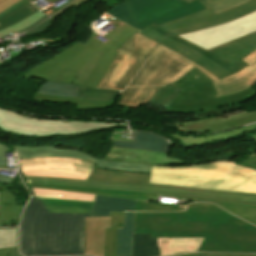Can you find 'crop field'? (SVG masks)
<instances>
[{
	"label": "crop field",
	"instance_id": "0fb4a251",
	"mask_svg": "<svg viewBox=\"0 0 256 256\" xmlns=\"http://www.w3.org/2000/svg\"><path fill=\"white\" fill-rule=\"evenodd\" d=\"M178 256H197V253H193V254H182V255H178Z\"/></svg>",
	"mask_w": 256,
	"mask_h": 256
},
{
	"label": "crop field",
	"instance_id": "28ad6ade",
	"mask_svg": "<svg viewBox=\"0 0 256 256\" xmlns=\"http://www.w3.org/2000/svg\"><path fill=\"white\" fill-rule=\"evenodd\" d=\"M155 46L156 43L136 33L117 50L114 63L98 87L123 90Z\"/></svg>",
	"mask_w": 256,
	"mask_h": 256
},
{
	"label": "crop field",
	"instance_id": "1d83c4d3",
	"mask_svg": "<svg viewBox=\"0 0 256 256\" xmlns=\"http://www.w3.org/2000/svg\"><path fill=\"white\" fill-rule=\"evenodd\" d=\"M18 246V228L0 229V248Z\"/></svg>",
	"mask_w": 256,
	"mask_h": 256
},
{
	"label": "crop field",
	"instance_id": "b54c1fbb",
	"mask_svg": "<svg viewBox=\"0 0 256 256\" xmlns=\"http://www.w3.org/2000/svg\"><path fill=\"white\" fill-rule=\"evenodd\" d=\"M51 19H48L47 21H45L42 25H40L39 27H37L36 29L26 33L27 35H30V34H35V33H39V32H42V31H45L47 30V28L50 26L51 24Z\"/></svg>",
	"mask_w": 256,
	"mask_h": 256
},
{
	"label": "crop field",
	"instance_id": "412701ff",
	"mask_svg": "<svg viewBox=\"0 0 256 256\" xmlns=\"http://www.w3.org/2000/svg\"><path fill=\"white\" fill-rule=\"evenodd\" d=\"M139 34L175 51L223 79L247 66L242 59L256 50V32L205 51L177 35L153 24Z\"/></svg>",
	"mask_w": 256,
	"mask_h": 256
},
{
	"label": "crop field",
	"instance_id": "d32e631a",
	"mask_svg": "<svg viewBox=\"0 0 256 256\" xmlns=\"http://www.w3.org/2000/svg\"><path fill=\"white\" fill-rule=\"evenodd\" d=\"M22 208L23 206L0 205V223L1 221L11 222L14 220L17 221L16 226H18Z\"/></svg>",
	"mask_w": 256,
	"mask_h": 256
},
{
	"label": "crop field",
	"instance_id": "5d738f31",
	"mask_svg": "<svg viewBox=\"0 0 256 256\" xmlns=\"http://www.w3.org/2000/svg\"><path fill=\"white\" fill-rule=\"evenodd\" d=\"M198 256H256V254H223V253L203 254V253H198Z\"/></svg>",
	"mask_w": 256,
	"mask_h": 256
},
{
	"label": "crop field",
	"instance_id": "3316defc",
	"mask_svg": "<svg viewBox=\"0 0 256 256\" xmlns=\"http://www.w3.org/2000/svg\"><path fill=\"white\" fill-rule=\"evenodd\" d=\"M23 115L0 109V129L24 136H50L81 134L93 130L109 129L117 123H96V121H81L63 123L61 120L33 117L31 120Z\"/></svg>",
	"mask_w": 256,
	"mask_h": 256
},
{
	"label": "crop field",
	"instance_id": "0765c3eb",
	"mask_svg": "<svg viewBox=\"0 0 256 256\" xmlns=\"http://www.w3.org/2000/svg\"><path fill=\"white\" fill-rule=\"evenodd\" d=\"M186 1L190 3V2H192V1H194V0H186Z\"/></svg>",
	"mask_w": 256,
	"mask_h": 256
},
{
	"label": "crop field",
	"instance_id": "c21b1889",
	"mask_svg": "<svg viewBox=\"0 0 256 256\" xmlns=\"http://www.w3.org/2000/svg\"><path fill=\"white\" fill-rule=\"evenodd\" d=\"M5 150H6V146L0 144V166L1 167H6L5 156H4ZM12 182H13L12 179H8V178L0 176V183H5V184L11 185Z\"/></svg>",
	"mask_w": 256,
	"mask_h": 256
},
{
	"label": "crop field",
	"instance_id": "b80d0937",
	"mask_svg": "<svg viewBox=\"0 0 256 256\" xmlns=\"http://www.w3.org/2000/svg\"><path fill=\"white\" fill-rule=\"evenodd\" d=\"M47 206V205H46ZM49 212L91 213L93 208L47 206Z\"/></svg>",
	"mask_w": 256,
	"mask_h": 256
},
{
	"label": "crop field",
	"instance_id": "120bbe31",
	"mask_svg": "<svg viewBox=\"0 0 256 256\" xmlns=\"http://www.w3.org/2000/svg\"><path fill=\"white\" fill-rule=\"evenodd\" d=\"M249 0H201V2L207 7L212 8L215 13L221 12L227 8L240 5Z\"/></svg>",
	"mask_w": 256,
	"mask_h": 256
},
{
	"label": "crop field",
	"instance_id": "d23c7cc5",
	"mask_svg": "<svg viewBox=\"0 0 256 256\" xmlns=\"http://www.w3.org/2000/svg\"><path fill=\"white\" fill-rule=\"evenodd\" d=\"M86 1H88V0H78L76 2H73L70 5H68L66 8H64L62 11H60L59 13L55 14L54 16H52L50 18L54 19L55 17H57L59 14H61L65 10H67V9L73 7V6L76 8V7H78L79 5H81L82 3L86 2Z\"/></svg>",
	"mask_w": 256,
	"mask_h": 256
},
{
	"label": "crop field",
	"instance_id": "92a150f3",
	"mask_svg": "<svg viewBox=\"0 0 256 256\" xmlns=\"http://www.w3.org/2000/svg\"><path fill=\"white\" fill-rule=\"evenodd\" d=\"M203 238H157L159 256L197 251Z\"/></svg>",
	"mask_w": 256,
	"mask_h": 256
},
{
	"label": "crop field",
	"instance_id": "dbb93151",
	"mask_svg": "<svg viewBox=\"0 0 256 256\" xmlns=\"http://www.w3.org/2000/svg\"><path fill=\"white\" fill-rule=\"evenodd\" d=\"M9 251H10V256H21L19 254L18 248L10 249Z\"/></svg>",
	"mask_w": 256,
	"mask_h": 256
},
{
	"label": "crop field",
	"instance_id": "d3111659",
	"mask_svg": "<svg viewBox=\"0 0 256 256\" xmlns=\"http://www.w3.org/2000/svg\"><path fill=\"white\" fill-rule=\"evenodd\" d=\"M36 197L55 198V199H69V200H86L94 201L97 195L79 194L71 192H62L46 189L33 188Z\"/></svg>",
	"mask_w": 256,
	"mask_h": 256
},
{
	"label": "crop field",
	"instance_id": "a9b5d70f",
	"mask_svg": "<svg viewBox=\"0 0 256 256\" xmlns=\"http://www.w3.org/2000/svg\"><path fill=\"white\" fill-rule=\"evenodd\" d=\"M34 100L55 103L77 104V110H91L110 107L113 102L93 101V100H77L73 98L56 97L49 95L36 94Z\"/></svg>",
	"mask_w": 256,
	"mask_h": 256
},
{
	"label": "crop field",
	"instance_id": "4177f3b9",
	"mask_svg": "<svg viewBox=\"0 0 256 256\" xmlns=\"http://www.w3.org/2000/svg\"><path fill=\"white\" fill-rule=\"evenodd\" d=\"M132 256H158L156 238H151V234H133Z\"/></svg>",
	"mask_w": 256,
	"mask_h": 256
},
{
	"label": "crop field",
	"instance_id": "214f88e0",
	"mask_svg": "<svg viewBox=\"0 0 256 256\" xmlns=\"http://www.w3.org/2000/svg\"><path fill=\"white\" fill-rule=\"evenodd\" d=\"M135 200L113 198L98 195L91 217L110 216V211H135Z\"/></svg>",
	"mask_w": 256,
	"mask_h": 256
},
{
	"label": "crop field",
	"instance_id": "733c2abd",
	"mask_svg": "<svg viewBox=\"0 0 256 256\" xmlns=\"http://www.w3.org/2000/svg\"><path fill=\"white\" fill-rule=\"evenodd\" d=\"M105 228H110V217L86 218L85 255L103 256Z\"/></svg>",
	"mask_w": 256,
	"mask_h": 256
},
{
	"label": "crop field",
	"instance_id": "028f5c9d",
	"mask_svg": "<svg viewBox=\"0 0 256 256\" xmlns=\"http://www.w3.org/2000/svg\"><path fill=\"white\" fill-rule=\"evenodd\" d=\"M216 205H218V206L228 210L232 214H234L238 217H241V218L256 225V210L255 209H247V208L226 206V205H220V204H216Z\"/></svg>",
	"mask_w": 256,
	"mask_h": 256
},
{
	"label": "crop field",
	"instance_id": "cbeb9de0",
	"mask_svg": "<svg viewBox=\"0 0 256 256\" xmlns=\"http://www.w3.org/2000/svg\"><path fill=\"white\" fill-rule=\"evenodd\" d=\"M16 150L19 160L36 158V157H73L79 158L86 161L95 162L96 167L114 169V170H125V171H137V172H151L152 166L137 164V163H114L100 160L96 157L86 155L79 151L73 150H57L53 147H12Z\"/></svg>",
	"mask_w": 256,
	"mask_h": 256
},
{
	"label": "crop field",
	"instance_id": "e1f06a70",
	"mask_svg": "<svg viewBox=\"0 0 256 256\" xmlns=\"http://www.w3.org/2000/svg\"><path fill=\"white\" fill-rule=\"evenodd\" d=\"M42 16H44V14L38 11L34 15H32L31 17L26 19L25 21H23L17 25H14L12 27L1 30L0 37L26 28V27L30 26L32 23H34L35 21H37L38 19H40Z\"/></svg>",
	"mask_w": 256,
	"mask_h": 256
},
{
	"label": "crop field",
	"instance_id": "730fd06b",
	"mask_svg": "<svg viewBox=\"0 0 256 256\" xmlns=\"http://www.w3.org/2000/svg\"><path fill=\"white\" fill-rule=\"evenodd\" d=\"M36 11H38L31 3L28 1L22 4L21 6L17 7L10 13L6 14L2 18H0V30L4 29L6 27L12 26L32 14H34Z\"/></svg>",
	"mask_w": 256,
	"mask_h": 256
},
{
	"label": "crop field",
	"instance_id": "5142ce71",
	"mask_svg": "<svg viewBox=\"0 0 256 256\" xmlns=\"http://www.w3.org/2000/svg\"><path fill=\"white\" fill-rule=\"evenodd\" d=\"M256 122V111L248 112L242 109V113L233 116L214 117L194 122L176 123V132L205 133L233 128L246 123Z\"/></svg>",
	"mask_w": 256,
	"mask_h": 256
},
{
	"label": "crop field",
	"instance_id": "5a996713",
	"mask_svg": "<svg viewBox=\"0 0 256 256\" xmlns=\"http://www.w3.org/2000/svg\"><path fill=\"white\" fill-rule=\"evenodd\" d=\"M204 9L199 0L190 4L184 0H126L107 14L141 29L153 22L159 25Z\"/></svg>",
	"mask_w": 256,
	"mask_h": 256
},
{
	"label": "crop field",
	"instance_id": "dafd665d",
	"mask_svg": "<svg viewBox=\"0 0 256 256\" xmlns=\"http://www.w3.org/2000/svg\"><path fill=\"white\" fill-rule=\"evenodd\" d=\"M134 213H124V228H117V256H131Z\"/></svg>",
	"mask_w": 256,
	"mask_h": 256
},
{
	"label": "crop field",
	"instance_id": "d9b57169",
	"mask_svg": "<svg viewBox=\"0 0 256 256\" xmlns=\"http://www.w3.org/2000/svg\"><path fill=\"white\" fill-rule=\"evenodd\" d=\"M112 137L113 134L110 138L111 142ZM168 155L169 154L114 148L112 144L110 152L103 159L114 162H137L163 166L188 165L186 160L174 159L175 157L170 158L171 156L168 157Z\"/></svg>",
	"mask_w": 256,
	"mask_h": 256
},
{
	"label": "crop field",
	"instance_id": "4a817a6b",
	"mask_svg": "<svg viewBox=\"0 0 256 256\" xmlns=\"http://www.w3.org/2000/svg\"><path fill=\"white\" fill-rule=\"evenodd\" d=\"M134 142L113 141L115 147L168 153L172 144L146 132L132 133Z\"/></svg>",
	"mask_w": 256,
	"mask_h": 256
},
{
	"label": "crop field",
	"instance_id": "9d1cf04e",
	"mask_svg": "<svg viewBox=\"0 0 256 256\" xmlns=\"http://www.w3.org/2000/svg\"><path fill=\"white\" fill-rule=\"evenodd\" d=\"M49 3H52V2H54V1H56V0H47Z\"/></svg>",
	"mask_w": 256,
	"mask_h": 256
},
{
	"label": "crop field",
	"instance_id": "bc2a9ffb",
	"mask_svg": "<svg viewBox=\"0 0 256 256\" xmlns=\"http://www.w3.org/2000/svg\"><path fill=\"white\" fill-rule=\"evenodd\" d=\"M256 81V65L238 74L214 82L219 96L246 89Z\"/></svg>",
	"mask_w": 256,
	"mask_h": 256
},
{
	"label": "crop field",
	"instance_id": "22f410ed",
	"mask_svg": "<svg viewBox=\"0 0 256 256\" xmlns=\"http://www.w3.org/2000/svg\"><path fill=\"white\" fill-rule=\"evenodd\" d=\"M253 31H256V12L217 27L180 36L208 50Z\"/></svg>",
	"mask_w": 256,
	"mask_h": 256
},
{
	"label": "crop field",
	"instance_id": "ae1a2a85",
	"mask_svg": "<svg viewBox=\"0 0 256 256\" xmlns=\"http://www.w3.org/2000/svg\"><path fill=\"white\" fill-rule=\"evenodd\" d=\"M79 86L46 81L37 93L77 98Z\"/></svg>",
	"mask_w": 256,
	"mask_h": 256
},
{
	"label": "crop field",
	"instance_id": "dd49c442",
	"mask_svg": "<svg viewBox=\"0 0 256 256\" xmlns=\"http://www.w3.org/2000/svg\"><path fill=\"white\" fill-rule=\"evenodd\" d=\"M195 76L198 78L195 79ZM212 82L194 67L183 78L172 84L183 90L165 111L191 113L196 120H200L243 108L240 102L248 101L256 94V91L249 88L243 92L218 97Z\"/></svg>",
	"mask_w": 256,
	"mask_h": 256
},
{
	"label": "crop field",
	"instance_id": "d1516ede",
	"mask_svg": "<svg viewBox=\"0 0 256 256\" xmlns=\"http://www.w3.org/2000/svg\"><path fill=\"white\" fill-rule=\"evenodd\" d=\"M256 11V0L246 2L240 6L227 9L221 13L215 14L212 9H206L188 17L159 25L177 35L217 26L246 14Z\"/></svg>",
	"mask_w": 256,
	"mask_h": 256
},
{
	"label": "crop field",
	"instance_id": "d8731c3e",
	"mask_svg": "<svg viewBox=\"0 0 256 256\" xmlns=\"http://www.w3.org/2000/svg\"><path fill=\"white\" fill-rule=\"evenodd\" d=\"M72 158H37L19 161L21 175L148 185L150 174L99 169Z\"/></svg>",
	"mask_w": 256,
	"mask_h": 256
},
{
	"label": "crop field",
	"instance_id": "e52e79f7",
	"mask_svg": "<svg viewBox=\"0 0 256 256\" xmlns=\"http://www.w3.org/2000/svg\"><path fill=\"white\" fill-rule=\"evenodd\" d=\"M194 66L210 79L218 80L202 67L157 44L149 60L121 93L119 104L137 107L149 101L161 87L174 83Z\"/></svg>",
	"mask_w": 256,
	"mask_h": 256
},
{
	"label": "crop field",
	"instance_id": "0bd39190",
	"mask_svg": "<svg viewBox=\"0 0 256 256\" xmlns=\"http://www.w3.org/2000/svg\"><path fill=\"white\" fill-rule=\"evenodd\" d=\"M40 199L44 204H48V205L93 207V204H94V202H86V201L55 200V199H45V198H40Z\"/></svg>",
	"mask_w": 256,
	"mask_h": 256
},
{
	"label": "crop field",
	"instance_id": "03da06ac",
	"mask_svg": "<svg viewBox=\"0 0 256 256\" xmlns=\"http://www.w3.org/2000/svg\"><path fill=\"white\" fill-rule=\"evenodd\" d=\"M252 136L256 141V132L253 133ZM239 166H245V167H249L251 169L256 170V158H248L243 163H241Z\"/></svg>",
	"mask_w": 256,
	"mask_h": 256
},
{
	"label": "crop field",
	"instance_id": "750c4746",
	"mask_svg": "<svg viewBox=\"0 0 256 256\" xmlns=\"http://www.w3.org/2000/svg\"><path fill=\"white\" fill-rule=\"evenodd\" d=\"M121 91L106 89H90L80 87L78 99H93L114 101Z\"/></svg>",
	"mask_w": 256,
	"mask_h": 256
},
{
	"label": "crop field",
	"instance_id": "8a807250",
	"mask_svg": "<svg viewBox=\"0 0 256 256\" xmlns=\"http://www.w3.org/2000/svg\"><path fill=\"white\" fill-rule=\"evenodd\" d=\"M134 233L205 237L198 251L256 253V227L209 203L172 213H135Z\"/></svg>",
	"mask_w": 256,
	"mask_h": 256
},
{
	"label": "crop field",
	"instance_id": "25e5ab78",
	"mask_svg": "<svg viewBox=\"0 0 256 256\" xmlns=\"http://www.w3.org/2000/svg\"><path fill=\"white\" fill-rule=\"evenodd\" d=\"M244 61H246L250 65V67L256 64V51L248 56L246 59H244Z\"/></svg>",
	"mask_w": 256,
	"mask_h": 256
},
{
	"label": "crop field",
	"instance_id": "447ae74e",
	"mask_svg": "<svg viewBox=\"0 0 256 256\" xmlns=\"http://www.w3.org/2000/svg\"><path fill=\"white\" fill-rule=\"evenodd\" d=\"M250 157H256V153H253Z\"/></svg>",
	"mask_w": 256,
	"mask_h": 256
},
{
	"label": "crop field",
	"instance_id": "c035e120",
	"mask_svg": "<svg viewBox=\"0 0 256 256\" xmlns=\"http://www.w3.org/2000/svg\"><path fill=\"white\" fill-rule=\"evenodd\" d=\"M0 204L17 205V200L12 192H1Z\"/></svg>",
	"mask_w": 256,
	"mask_h": 256
},
{
	"label": "crop field",
	"instance_id": "34b2d1b8",
	"mask_svg": "<svg viewBox=\"0 0 256 256\" xmlns=\"http://www.w3.org/2000/svg\"><path fill=\"white\" fill-rule=\"evenodd\" d=\"M90 215L47 213L32 197L21 221V254L84 255L85 217Z\"/></svg>",
	"mask_w": 256,
	"mask_h": 256
},
{
	"label": "crop field",
	"instance_id": "eef30255",
	"mask_svg": "<svg viewBox=\"0 0 256 256\" xmlns=\"http://www.w3.org/2000/svg\"><path fill=\"white\" fill-rule=\"evenodd\" d=\"M116 227H123V213L111 212V229L105 230V254L116 255Z\"/></svg>",
	"mask_w": 256,
	"mask_h": 256
},
{
	"label": "crop field",
	"instance_id": "1f2cbd36",
	"mask_svg": "<svg viewBox=\"0 0 256 256\" xmlns=\"http://www.w3.org/2000/svg\"><path fill=\"white\" fill-rule=\"evenodd\" d=\"M46 18H47V16L45 15L44 17H42L40 20H38L37 22H35V23H34L33 25H31L30 27H28V28H26V29H24V30H21V31H19V32H20V33H24V32H26V31L32 29L34 26L40 24V23H41L42 21H44Z\"/></svg>",
	"mask_w": 256,
	"mask_h": 256
},
{
	"label": "crop field",
	"instance_id": "89e229c0",
	"mask_svg": "<svg viewBox=\"0 0 256 256\" xmlns=\"http://www.w3.org/2000/svg\"><path fill=\"white\" fill-rule=\"evenodd\" d=\"M27 0H20L19 2H17L16 4L12 5L11 7H9L8 9H6L5 11H3L2 13H0V17H2L3 15H5L6 13L10 12L11 10H13L14 8H16L17 6H19L20 4L24 3Z\"/></svg>",
	"mask_w": 256,
	"mask_h": 256
},
{
	"label": "crop field",
	"instance_id": "bd1437ed",
	"mask_svg": "<svg viewBox=\"0 0 256 256\" xmlns=\"http://www.w3.org/2000/svg\"><path fill=\"white\" fill-rule=\"evenodd\" d=\"M180 91L181 89L168 85L160 89L150 101L166 108Z\"/></svg>",
	"mask_w": 256,
	"mask_h": 256
},
{
	"label": "crop field",
	"instance_id": "5866460e",
	"mask_svg": "<svg viewBox=\"0 0 256 256\" xmlns=\"http://www.w3.org/2000/svg\"><path fill=\"white\" fill-rule=\"evenodd\" d=\"M175 210H184L182 208H178V205H169V204H161V203H144L138 202L136 203V211H175Z\"/></svg>",
	"mask_w": 256,
	"mask_h": 256
},
{
	"label": "crop field",
	"instance_id": "73cf0c24",
	"mask_svg": "<svg viewBox=\"0 0 256 256\" xmlns=\"http://www.w3.org/2000/svg\"><path fill=\"white\" fill-rule=\"evenodd\" d=\"M59 1V0H58ZM69 2H71V0H68ZM57 2V1H56ZM68 2V3H69ZM55 3V2H54ZM68 3H66V4H64V5H62V6H60V7H58V8H52V9H50V10H48V11H46V12H44L45 14H47L48 16H51V15H53L54 13H56V12H58L59 10H61L63 7H65ZM53 4V3H52Z\"/></svg>",
	"mask_w": 256,
	"mask_h": 256
},
{
	"label": "crop field",
	"instance_id": "1d79db26",
	"mask_svg": "<svg viewBox=\"0 0 256 256\" xmlns=\"http://www.w3.org/2000/svg\"><path fill=\"white\" fill-rule=\"evenodd\" d=\"M6 252H9L8 250L6 251H0V256H6Z\"/></svg>",
	"mask_w": 256,
	"mask_h": 256
},
{
	"label": "crop field",
	"instance_id": "f4fd0767",
	"mask_svg": "<svg viewBox=\"0 0 256 256\" xmlns=\"http://www.w3.org/2000/svg\"><path fill=\"white\" fill-rule=\"evenodd\" d=\"M149 182L256 193V172L229 162L153 166Z\"/></svg>",
	"mask_w": 256,
	"mask_h": 256
},
{
	"label": "crop field",
	"instance_id": "425ffa30",
	"mask_svg": "<svg viewBox=\"0 0 256 256\" xmlns=\"http://www.w3.org/2000/svg\"><path fill=\"white\" fill-rule=\"evenodd\" d=\"M19 0H0V12L11 6L12 4L16 3Z\"/></svg>",
	"mask_w": 256,
	"mask_h": 256
},
{
	"label": "crop field",
	"instance_id": "ac0d7876",
	"mask_svg": "<svg viewBox=\"0 0 256 256\" xmlns=\"http://www.w3.org/2000/svg\"><path fill=\"white\" fill-rule=\"evenodd\" d=\"M109 24L116 28L102 36L108 41L103 43L90 35L85 44L74 43L22 77L96 87L116 57L115 51L138 32L116 19Z\"/></svg>",
	"mask_w": 256,
	"mask_h": 256
},
{
	"label": "crop field",
	"instance_id": "00972430",
	"mask_svg": "<svg viewBox=\"0 0 256 256\" xmlns=\"http://www.w3.org/2000/svg\"><path fill=\"white\" fill-rule=\"evenodd\" d=\"M256 129V124L247 126L245 128H240L233 130L231 132L218 134V135H212V136H195V137H185V136H179V135H173L170 134L168 137L176 138L182 143L183 145H203L209 142H215L219 140H224L230 137H233L238 134L247 133L249 131H252Z\"/></svg>",
	"mask_w": 256,
	"mask_h": 256
}]
</instances>
